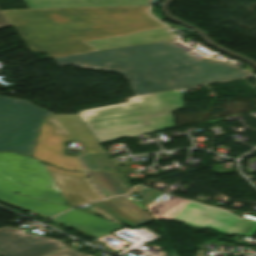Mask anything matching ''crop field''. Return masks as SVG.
Returning <instances> with one entry per match:
<instances>
[{"label":"crop field","mask_w":256,"mask_h":256,"mask_svg":"<svg viewBox=\"0 0 256 256\" xmlns=\"http://www.w3.org/2000/svg\"><path fill=\"white\" fill-rule=\"evenodd\" d=\"M59 67L117 72L136 95L252 76L212 59L196 60L169 43L157 42L55 58Z\"/></svg>","instance_id":"8a807250"},{"label":"crop field","mask_w":256,"mask_h":256,"mask_svg":"<svg viewBox=\"0 0 256 256\" xmlns=\"http://www.w3.org/2000/svg\"><path fill=\"white\" fill-rule=\"evenodd\" d=\"M27 46L49 57L94 51L82 41L163 27L147 6L2 11Z\"/></svg>","instance_id":"ac0d7876"},{"label":"crop field","mask_w":256,"mask_h":256,"mask_svg":"<svg viewBox=\"0 0 256 256\" xmlns=\"http://www.w3.org/2000/svg\"><path fill=\"white\" fill-rule=\"evenodd\" d=\"M184 108L180 89L128 98L77 112L99 143L173 128L171 111ZM147 121L149 125L141 123Z\"/></svg>","instance_id":"34b2d1b8"},{"label":"crop field","mask_w":256,"mask_h":256,"mask_svg":"<svg viewBox=\"0 0 256 256\" xmlns=\"http://www.w3.org/2000/svg\"><path fill=\"white\" fill-rule=\"evenodd\" d=\"M12 192L66 205L43 164L15 153H0V202L45 219L71 208Z\"/></svg>","instance_id":"412701ff"},{"label":"crop field","mask_w":256,"mask_h":256,"mask_svg":"<svg viewBox=\"0 0 256 256\" xmlns=\"http://www.w3.org/2000/svg\"><path fill=\"white\" fill-rule=\"evenodd\" d=\"M73 139L81 141L85 146L79 159L86 170L117 172L105 151L76 113L47 117L41 124L32 157L66 170L82 171L76 157L64 155L62 142Z\"/></svg>","instance_id":"f4fd0767"},{"label":"crop field","mask_w":256,"mask_h":256,"mask_svg":"<svg viewBox=\"0 0 256 256\" xmlns=\"http://www.w3.org/2000/svg\"><path fill=\"white\" fill-rule=\"evenodd\" d=\"M136 192L144 200L154 219L174 218L193 227H205L229 235L253 236L256 234V222L241 218L227 210L173 196L156 203L152 200L162 193L146 186H137L130 193Z\"/></svg>","instance_id":"dd49c442"},{"label":"crop field","mask_w":256,"mask_h":256,"mask_svg":"<svg viewBox=\"0 0 256 256\" xmlns=\"http://www.w3.org/2000/svg\"><path fill=\"white\" fill-rule=\"evenodd\" d=\"M49 115L28 102L0 96V151L31 156L42 117Z\"/></svg>","instance_id":"e52e79f7"},{"label":"crop field","mask_w":256,"mask_h":256,"mask_svg":"<svg viewBox=\"0 0 256 256\" xmlns=\"http://www.w3.org/2000/svg\"><path fill=\"white\" fill-rule=\"evenodd\" d=\"M64 245L22 229L0 228V256H44Z\"/></svg>","instance_id":"d8731c3e"},{"label":"crop field","mask_w":256,"mask_h":256,"mask_svg":"<svg viewBox=\"0 0 256 256\" xmlns=\"http://www.w3.org/2000/svg\"><path fill=\"white\" fill-rule=\"evenodd\" d=\"M44 165L69 206L100 199L84 172L63 171Z\"/></svg>","instance_id":"5a996713"},{"label":"crop field","mask_w":256,"mask_h":256,"mask_svg":"<svg viewBox=\"0 0 256 256\" xmlns=\"http://www.w3.org/2000/svg\"><path fill=\"white\" fill-rule=\"evenodd\" d=\"M51 221L69 227L89 238H97L120 227V225L75 209L63 213L51 219Z\"/></svg>","instance_id":"3316defc"},{"label":"crop field","mask_w":256,"mask_h":256,"mask_svg":"<svg viewBox=\"0 0 256 256\" xmlns=\"http://www.w3.org/2000/svg\"><path fill=\"white\" fill-rule=\"evenodd\" d=\"M92 205L104 211L127 227L134 228L150 222L148 214L122 197L102 200Z\"/></svg>","instance_id":"28ad6ade"},{"label":"crop field","mask_w":256,"mask_h":256,"mask_svg":"<svg viewBox=\"0 0 256 256\" xmlns=\"http://www.w3.org/2000/svg\"><path fill=\"white\" fill-rule=\"evenodd\" d=\"M175 39L167 27L146 30L126 36L86 41L88 45L97 50L108 49L114 47L157 42L162 40Z\"/></svg>","instance_id":"d1516ede"},{"label":"crop field","mask_w":256,"mask_h":256,"mask_svg":"<svg viewBox=\"0 0 256 256\" xmlns=\"http://www.w3.org/2000/svg\"><path fill=\"white\" fill-rule=\"evenodd\" d=\"M29 9L147 5V0H23Z\"/></svg>","instance_id":"22f410ed"},{"label":"crop field","mask_w":256,"mask_h":256,"mask_svg":"<svg viewBox=\"0 0 256 256\" xmlns=\"http://www.w3.org/2000/svg\"><path fill=\"white\" fill-rule=\"evenodd\" d=\"M104 197L124 194L131 187L119 173L87 172Z\"/></svg>","instance_id":"cbeb9de0"},{"label":"crop field","mask_w":256,"mask_h":256,"mask_svg":"<svg viewBox=\"0 0 256 256\" xmlns=\"http://www.w3.org/2000/svg\"><path fill=\"white\" fill-rule=\"evenodd\" d=\"M49 256H93L92 254H83L76 250L65 247Z\"/></svg>","instance_id":"5142ce71"},{"label":"crop field","mask_w":256,"mask_h":256,"mask_svg":"<svg viewBox=\"0 0 256 256\" xmlns=\"http://www.w3.org/2000/svg\"><path fill=\"white\" fill-rule=\"evenodd\" d=\"M7 27H11V25L0 11V29Z\"/></svg>","instance_id":"d9b57169"},{"label":"crop field","mask_w":256,"mask_h":256,"mask_svg":"<svg viewBox=\"0 0 256 256\" xmlns=\"http://www.w3.org/2000/svg\"><path fill=\"white\" fill-rule=\"evenodd\" d=\"M172 256H177V255L175 254V252L173 251V249H172Z\"/></svg>","instance_id":"733c2abd"}]
</instances>
